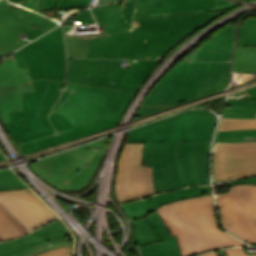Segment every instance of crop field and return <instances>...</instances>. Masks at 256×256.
Masks as SVG:
<instances>
[{"label": "crop field", "instance_id": "34b2d1b8", "mask_svg": "<svg viewBox=\"0 0 256 256\" xmlns=\"http://www.w3.org/2000/svg\"><path fill=\"white\" fill-rule=\"evenodd\" d=\"M215 124L209 112L192 110L131 130L127 143L144 142L143 159L153 166L157 193L209 184V143Z\"/></svg>", "mask_w": 256, "mask_h": 256}, {"label": "crop field", "instance_id": "412701ff", "mask_svg": "<svg viewBox=\"0 0 256 256\" xmlns=\"http://www.w3.org/2000/svg\"><path fill=\"white\" fill-rule=\"evenodd\" d=\"M35 92L23 93V111L6 128L18 143L55 134L47 115L62 93L66 55L61 26L23 47Z\"/></svg>", "mask_w": 256, "mask_h": 256}, {"label": "crop field", "instance_id": "bd1437ed", "mask_svg": "<svg viewBox=\"0 0 256 256\" xmlns=\"http://www.w3.org/2000/svg\"><path fill=\"white\" fill-rule=\"evenodd\" d=\"M67 245H71L69 241H66V242H61V243H57V244H53L51 246H44V247H41L25 256H35L37 254H40L46 250H49V249H52V248H56V247H60V246H67Z\"/></svg>", "mask_w": 256, "mask_h": 256}, {"label": "crop field", "instance_id": "d32e631a", "mask_svg": "<svg viewBox=\"0 0 256 256\" xmlns=\"http://www.w3.org/2000/svg\"><path fill=\"white\" fill-rule=\"evenodd\" d=\"M56 3L57 0H42V11L54 9Z\"/></svg>", "mask_w": 256, "mask_h": 256}, {"label": "crop field", "instance_id": "0bd39190", "mask_svg": "<svg viewBox=\"0 0 256 256\" xmlns=\"http://www.w3.org/2000/svg\"><path fill=\"white\" fill-rule=\"evenodd\" d=\"M24 1V0H23ZM23 1H16V2H14V3H18V4H20V3H22Z\"/></svg>", "mask_w": 256, "mask_h": 256}, {"label": "crop field", "instance_id": "214f88e0", "mask_svg": "<svg viewBox=\"0 0 256 256\" xmlns=\"http://www.w3.org/2000/svg\"><path fill=\"white\" fill-rule=\"evenodd\" d=\"M15 217L0 203V241L29 233Z\"/></svg>", "mask_w": 256, "mask_h": 256}, {"label": "crop field", "instance_id": "5142ce71", "mask_svg": "<svg viewBox=\"0 0 256 256\" xmlns=\"http://www.w3.org/2000/svg\"><path fill=\"white\" fill-rule=\"evenodd\" d=\"M122 207L135 222V234L132 246L146 245L160 240L149 223L144 219L145 216L156 210L150 198L124 204Z\"/></svg>", "mask_w": 256, "mask_h": 256}, {"label": "crop field", "instance_id": "8a807250", "mask_svg": "<svg viewBox=\"0 0 256 256\" xmlns=\"http://www.w3.org/2000/svg\"><path fill=\"white\" fill-rule=\"evenodd\" d=\"M93 8L92 11L105 33L65 38L68 57L156 59L171 46L235 5L216 0L212 9L162 13L136 8L134 28L131 17L135 0Z\"/></svg>", "mask_w": 256, "mask_h": 256}, {"label": "crop field", "instance_id": "eef30255", "mask_svg": "<svg viewBox=\"0 0 256 256\" xmlns=\"http://www.w3.org/2000/svg\"><path fill=\"white\" fill-rule=\"evenodd\" d=\"M231 55L228 52L198 49L195 60L231 61Z\"/></svg>", "mask_w": 256, "mask_h": 256}, {"label": "crop field", "instance_id": "cbeb9de0", "mask_svg": "<svg viewBox=\"0 0 256 256\" xmlns=\"http://www.w3.org/2000/svg\"><path fill=\"white\" fill-rule=\"evenodd\" d=\"M56 220L37 231L18 239L0 242V256H23L43 245L69 240L68 232Z\"/></svg>", "mask_w": 256, "mask_h": 256}, {"label": "crop field", "instance_id": "028f5c9d", "mask_svg": "<svg viewBox=\"0 0 256 256\" xmlns=\"http://www.w3.org/2000/svg\"><path fill=\"white\" fill-rule=\"evenodd\" d=\"M114 1H118V0H100L98 5L104 4V3H108V2H114Z\"/></svg>", "mask_w": 256, "mask_h": 256}, {"label": "crop field", "instance_id": "1d83c4d3", "mask_svg": "<svg viewBox=\"0 0 256 256\" xmlns=\"http://www.w3.org/2000/svg\"><path fill=\"white\" fill-rule=\"evenodd\" d=\"M76 16L81 20V24L95 22L89 10L80 12Z\"/></svg>", "mask_w": 256, "mask_h": 256}, {"label": "crop field", "instance_id": "d9b57169", "mask_svg": "<svg viewBox=\"0 0 256 256\" xmlns=\"http://www.w3.org/2000/svg\"><path fill=\"white\" fill-rule=\"evenodd\" d=\"M256 101L228 100L226 103L225 118H255ZM256 136V130L218 132L216 142L245 141V137Z\"/></svg>", "mask_w": 256, "mask_h": 256}, {"label": "crop field", "instance_id": "ac0d7876", "mask_svg": "<svg viewBox=\"0 0 256 256\" xmlns=\"http://www.w3.org/2000/svg\"><path fill=\"white\" fill-rule=\"evenodd\" d=\"M100 61L68 59L66 90L49 116L59 134L21 144L24 155L94 134L118 123L137 93L84 85ZM157 62L136 60L122 83L141 86Z\"/></svg>", "mask_w": 256, "mask_h": 256}, {"label": "crop field", "instance_id": "733c2abd", "mask_svg": "<svg viewBox=\"0 0 256 256\" xmlns=\"http://www.w3.org/2000/svg\"><path fill=\"white\" fill-rule=\"evenodd\" d=\"M146 220L163 241L141 247L142 256H181L176 237L172 238L156 211L146 217Z\"/></svg>", "mask_w": 256, "mask_h": 256}, {"label": "crop field", "instance_id": "3316defc", "mask_svg": "<svg viewBox=\"0 0 256 256\" xmlns=\"http://www.w3.org/2000/svg\"><path fill=\"white\" fill-rule=\"evenodd\" d=\"M255 174L256 142L216 144L214 178L226 181Z\"/></svg>", "mask_w": 256, "mask_h": 256}, {"label": "crop field", "instance_id": "dd49c442", "mask_svg": "<svg viewBox=\"0 0 256 256\" xmlns=\"http://www.w3.org/2000/svg\"><path fill=\"white\" fill-rule=\"evenodd\" d=\"M229 79L230 62L181 61L148 94L137 115L225 89Z\"/></svg>", "mask_w": 256, "mask_h": 256}, {"label": "crop field", "instance_id": "750c4746", "mask_svg": "<svg viewBox=\"0 0 256 256\" xmlns=\"http://www.w3.org/2000/svg\"><path fill=\"white\" fill-rule=\"evenodd\" d=\"M226 256H256V255H246L243 248H230L224 249ZM199 256H217L215 251L202 254Z\"/></svg>", "mask_w": 256, "mask_h": 256}, {"label": "crop field", "instance_id": "d1516ede", "mask_svg": "<svg viewBox=\"0 0 256 256\" xmlns=\"http://www.w3.org/2000/svg\"><path fill=\"white\" fill-rule=\"evenodd\" d=\"M12 57L0 65V117L3 123L9 122V111L22 110V92L34 91L29 69H17Z\"/></svg>", "mask_w": 256, "mask_h": 256}, {"label": "crop field", "instance_id": "ae1a2a85", "mask_svg": "<svg viewBox=\"0 0 256 256\" xmlns=\"http://www.w3.org/2000/svg\"><path fill=\"white\" fill-rule=\"evenodd\" d=\"M228 99H252L256 100V87L247 89L237 94L229 96Z\"/></svg>", "mask_w": 256, "mask_h": 256}, {"label": "crop field", "instance_id": "bc2a9ffb", "mask_svg": "<svg viewBox=\"0 0 256 256\" xmlns=\"http://www.w3.org/2000/svg\"><path fill=\"white\" fill-rule=\"evenodd\" d=\"M210 193L209 187L204 186H195V187H187L181 188L174 191L160 193L151 198L154 203L156 209L162 205L163 203H171L181 199H186L198 195H206ZM155 198V200H153Z\"/></svg>", "mask_w": 256, "mask_h": 256}, {"label": "crop field", "instance_id": "00972430", "mask_svg": "<svg viewBox=\"0 0 256 256\" xmlns=\"http://www.w3.org/2000/svg\"><path fill=\"white\" fill-rule=\"evenodd\" d=\"M25 44L13 31L0 25V58Z\"/></svg>", "mask_w": 256, "mask_h": 256}, {"label": "crop field", "instance_id": "a9b5d70f", "mask_svg": "<svg viewBox=\"0 0 256 256\" xmlns=\"http://www.w3.org/2000/svg\"><path fill=\"white\" fill-rule=\"evenodd\" d=\"M243 23L238 27L236 46L256 45V19H247Z\"/></svg>", "mask_w": 256, "mask_h": 256}, {"label": "crop field", "instance_id": "5a996713", "mask_svg": "<svg viewBox=\"0 0 256 256\" xmlns=\"http://www.w3.org/2000/svg\"><path fill=\"white\" fill-rule=\"evenodd\" d=\"M143 143L125 144L119 157L115 178L118 203L141 199L155 194L152 167L141 166Z\"/></svg>", "mask_w": 256, "mask_h": 256}, {"label": "crop field", "instance_id": "4a817a6b", "mask_svg": "<svg viewBox=\"0 0 256 256\" xmlns=\"http://www.w3.org/2000/svg\"><path fill=\"white\" fill-rule=\"evenodd\" d=\"M215 0H138L136 7L163 11H189L212 8Z\"/></svg>", "mask_w": 256, "mask_h": 256}, {"label": "crop field", "instance_id": "e52e79f7", "mask_svg": "<svg viewBox=\"0 0 256 256\" xmlns=\"http://www.w3.org/2000/svg\"><path fill=\"white\" fill-rule=\"evenodd\" d=\"M105 139L46 157L30 169L60 191H80L89 186L103 156ZM100 147V150L93 148Z\"/></svg>", "mask_w": 256, "mask_h": 256}, {"label": "crop field", "instance_id": "120bbe31", "mask_svg": "<svg viewBox=\"0 0 256 256\" xmlns=\"http://www.w3.org/2000/svg\"><path fill=\"white\" fill-rule=\"evenodd\" d=\"M21 5L31 8L37 12L41 11V0H26Z\"/></svg>", "mask_w": 256, "mask_h": 256}, {"label": "crop field", "instance_id": "92a150f3", "mask_svg": "<svg viewBox=\"0 0 256 256\" xmlns=\"http://www.w3.org/2000/svg\"><path fill=\"white\" fill-rule=\"evenodd\" d=\"M232 71L256 73V46L236 47Z\"/></svg>", "mask_w": 256, "mask_h": 256}, {"label": "crop field", "instance_id": "5866460e", "mask_svg": "<svg viewBox=\"0 0 256 256\" xmlns=\"http://www.w3.org/2000/svg\"><path fill=\"white\" fill-rule=\"evenodd\" d=\"M241 183H254V184H256V177L249 178V179H244V180H239V181L229 182V186H233V185H237V184H241Z\"/></svg>", "mask_w": 256, "mask_h": 256}, {"label": "crop field", "instance_id": "dafd665d", "mask_svg": "<svg viewBox=\"0 0 256 256\" xmlns=\"http://www.w3.org/2000/svg\"><path fill=\"white\" fill-rule=\"evenodd\" d=\"M236 37V27L226 26L200 48L232 52Z\"/></svg>", "mask_w": 256, "mask_h": 256}, {"label": "crop field", "instance_id": "d3111659", "mask_svg": "<svg viewBox=\"0 0 256 256\" xmlns=\"http://www.w3.org/2000/svg\"><path fill=\"white\" fill-rule=\"evenodd\" d=\"M70 255H71V246H68V247H61V248L49 250L38 256H70Z\"/></svg>", "mask_w": 256, "mask_h": 256}, {"label": "crop field", "instance_id": "22f410ed", "mask_svg": "<svg viewBox=\"0 0 256 256\" xmlns=\"http://www.w3.org/2000/svg\"><path fill=\"white\" fill-rule=\"evenodd\" d=\"M0 1V24L13 30L19 37L27 35L31 40L58 25L46 17L26 9H14Z\"/></svg>", "mask_w": 256, "mask_h": 256}, {"label": "crop field", "instance_id": "730fd06b", "mask_svg": "<svg viewBox=\"0 0 256 256\" xmlns=\"http://www.w3.org/2000/svg\"><path fill=\"white\" fill-rule=\"evenodd\" d=\"M28 188L14 174L12 170L0 171V191Z\"/></svg>", "mask_w": 256, "mask_h": 256}, {"label": "crop field", "instance_id": "e1f06a70", "mask_svg": "<svg viewBox=\"0 0 256 256\" xmlns=\"http://www.w3.org/2000/svg\"><path fill=\"white\" fill-rule=\"evenodd\" d=\"M0 160H5V158L3 157V155L0 153Z\"/></svg>", "mask_w": 256, "mask_h": 256}, {"label": "crop field", "instance_id": "d8731c3e", "mask_svg": "<svg viewBox=\"0 0 256 256\" xmlns=\"http://www.w3.org/2000/svg\"><path fill=\"white\" fill-rule=\"evenodd\" d=\"M223 229L256 245V185L241 184L216 197Z\"/></svg>", "mask_w": 256, "mask_h": 256}, {"label": "crop field", "instance_id": "4177f3b9", "mask_svg": "<svg viewBox=\"0 0 256 256\" xmlns=\"http://www.w3.org/2000/svg\"><path fill=\"white\" fill-rule=\"evenodd\" d=\"M256 129V119H225L222 118L219 131Z\"/></svg>", "mask_w": 256, "mask_h": 256}, {"label": "crop field", "instance_id": "28ad6ade", "mask_svg": "<svg viewBox=\"0 0 256 256\" xmlns=\"http://www.w3.org/2000/svg\"><path fill=\"white\" fill-rule=\"evenodd\" d=\"M0 201L31 231L58 219L30 189L0 192Z\"/></svg>", "mask_w": 256, "mask_h": 256}, {"label": "crop field", "instance_id": "f4fd0767", "mask_svg": "<svg viewBox=\"0 0 256 256\" xmlns=\"http://www.w3.org/2000/svg\"><path fill=\"white\" fill-rule=\"evenodd\" d=\"M157 211L172 235L177 236L182 256L223 247L248 246L220 229L212 194L163 204Z\"/></svg>", "mask_w": 256, "mask_h": 256}]
</instances>
